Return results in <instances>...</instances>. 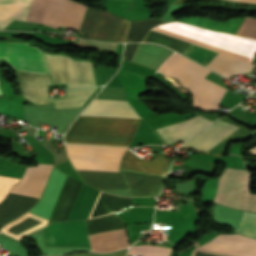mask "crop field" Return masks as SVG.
<instances>
[{
  "label": "crop field",
  "instance_id": "25",
  "mask_svg": "<svg viewBox=\"0 0 256 256\" xmlns=\"http://www.w3.org/2000/svg\"><path fill=\"white\" fill-rule=\"evenodd\" d=\"M236 34L256 38V19L245 18Z\"/></svg>",
  "mask_w": 256,
  "mask_h": 256
},
{
  "label": "crop field",
  "instance_id": "23",
  "mask_svg": "<svg viewBox=\"0 0 256 256\" xmlns=\"http://www.w3.org/2000/svg\"><path fill=\"white\" fill-rule=\"evenodd\" d=\"M238 232L256 238V214L244 212Z\"/></svg>",
  "mask_w": 256,
  "mask_h": 256
},
{
  "label": "crop field",
  "instance_id": "21",
  "mask_svg": "<svg viewBox=\"0 0 256 256\" xmlns=\"http://www.w3.org/2000/svg\"><path fill=\"white\" fill-rule=\"evenodd\" d=\"M144 40L159 42L180 52L188 42L150 30Z\"/></svg>",
  "mask_w": 256,
  "mask_h": 256
},
{
  "label": "crop field",
  "instance_id": "14",
  "mask_svg": "<svg viewBox=\"0 0 256 256\" xmlns=\"http://www.w3.org/2000/svg\"><path fill=\"white\" fill-rule=\"evenodd\" d=\"M65 177L66 175L58 171L54 166L40 201L29 212L48 219L55 206Z\"/></svg>",
  "mask_w": 256,
  "mask_h": 256
},
{
  "label": "crop field",
  "instance_id": "5",
  "mask_svg": "<svg viewBox=\"0 0 256 256\" xmlns=\"http://www.w3.org/2000/svg\"><path fill=\"white\" fill-rule=\"evenodd\" d=\"M85 8L74 0H33L27 21L78 29Z\"/></svg>",
  "mask_w": 256,
  "mask_h": 256
},
{
  "label": "crop field",
  "instance_id": "7",
  "mask_svg": "<svg viewBox=\"0 0 256 256\" xmlns=\"http://www.w3.org/2000/svg\"><path fill=\"white\" fill-rule=\"evenodd\" d=\"M83 181L98 189H128L118 173L76 170ZM131 189L132 196H154L161 178L122 173Z\"/></svg>",
  "mask_w": 256,
  "mask_h": 256
},
{
  "label": "crop field",
  "instance_id": "11",
  "mask_svg": "<svg viewBox=\"0 0 256 256\" xmlns=\"http://www.w3.org/2000/svg\"><path fill=\"white\" fill-rule=\"evenodd\" d=\"M53 165L38 164L27 168L18 184L11 193L39 198Z\"/></svg>",
  "mask_w": 256,
  "mask_h": 256
},
{
  "label": "crop field",
  "instance_id": "28",
  "mask_svg": "<svg viewBox=\"0 0 256 256\" xmlns=\"http://www.w3.org/2000/svg\"><path fill=\"white\" fill-rule=\"evenodd\" d=\"M187 1H190V0H176V1L173 2V3H183V2H187Z\"/></svg>",
  "mask_w": 256,
  "mask_h": 256
},
{
  "label": "crop field",
  "instance_id": "29",
  "mask_svg": "<svg viewBox=\"0 0 256 256\" xmlns=\"http://www.w3.org/2000/svg\"><path fill=\"white\" fill-rule=\"evenodd\" d=\"M126 253L123 254H117V255H112V256H125Z\"/></svg>",
  "mask_w": 256,
  "mask_h": 256
},
{
  "label": "crop field",
  "instance_id": "12",
  "mask_svg": "<svg viewBox=\"0 0 256 256\" xmlns=\"http://www.w3.org/2000/svg\"><path fill=\"white\" fill-rule=\"evenodd\" d=\"M236 129L238 127L219 120L195 135L184 145L206 152Z\"/></svg>",
  "mask_w": 256,
  "mask_h": 256
},
{
  "label": "crop field",
  "instance_id": "18",
  "mask_svg": "<svg viewBox=\"0 0 256 256\" xmlns=\"http://www.w3.org/2000/svg\"><path fill=\"white\" fill-rule=\"evenodd\" d=\"M206 67L229 78L235 74L251 71L253 64L219 53Z\"/></svg>",
  "mask_w": 256,
  "mask_h": 256
},
{
  "label": "crop field",
  "instance_id": "4",
  "mask_svg": "<svg viewBox=\"0 0 256 256\" xmlns=\"http://www.w3.org/2000/svg\"><path fill=\"white\" fill-rule=\"evenodd\" d=\"M159 69L192 86V107L218 110V103L226 89L203 78L211 71L176 53Z\"/></svg>",
  "mask_w": 256,
  "mask_h": 256
},
{
  "label": "crop field",
  "instance_id": "13",
  "mask_svg": "<svg viewBox=\"0 0 256 256\" xmlns=\"http://www.w3.org/2000/svg\"><path fill=\"white\" fill-rule=\"evenodd\" d=\"M209 123H211V121L196 116L186 121L157 128L156 130L162 139L169 144L179 139L187 140Z\"/></svg>",
  "mask_w": 256,
  "mask_h": 256
},
{
  "label": "crop field",
  "instance_id": "22",
  "mask_svg": "<svg viewBox=\"0 0 256 256\" xmlns=\"http://www.w3.org/2000/svg\"><path fill=\"white\" fill-rule=\"evenodd\" d=\"M171 248H165L161 246L153 245H137L129 249L130 255L141 256H169Z\"/></svg>",
  "mask_w": 256,
  "mask_h": 256
},
{
  "label": "crop field",
  "instance_id": "1",
  "mask_svg": "<svg viewBox=\"0 0 256 256\" xmlns=\"http://www.w3.org/2000/svg\"><path fill=\"white\" fill-rule=\"evenodd\" d=\"M50 73L17 72L21 95L36 103H54V109L81 107L97 88L66 91V97L48 98L49 84L67 83L68 88L95 85L92 62L75 60L66 55L43 52Z\"/></svg>",
  "mask_w": 256,
  "mask_h": 256
},
{
  "label": "crop field",
  "instance_id": "24",
  "mask_svg": "<svg viewBox=\"0 0 256 256\" xmlns=\"http://www.w3.org/2000/svg\"><path fill=\"white\" fill-rule=\"evenodd\" d=\"M72 44L80 46V47H84V48L100 50L104 53H113V51L117 45V44H107V43L86 41V40H82V39H79Z\"/></svg>",
  "mask_w": 256,
  "mask_h": 256
},
{
  "label": "crop field",
  "instance_id": "16",
  "mask_svg": "<svg viewBox=\"0 0 256 256\" xmlns=\"http://www.w3.org/2000/svg\"><path fill=\"white\" fill-rule=\"evenodd\" d=\"M120 77L126 91V97L136 112L142 118L152 115L153 113L142 105L136 98V96L142 91L144 77L122 70H120Z\"/></svg>",
  "mask_w": 256,
  "mask_h": 256
},
{
  "label": "crop field",
  "instance_id": "27",
  "mask_svg": "<svg viewBox=\"0 0 256 256\" xmlns=\"http://www.w3.org/2000/svg\"><path fill=\"white\" fill-rule=\"evenodd\" d=\"M237 1H242V2H247V3H254V4H256V0H237Z\"/></svg>",
  "mask_w": 256,
  "mask_h": 256
},
{
  "label": "crop field",
  "instance_id": "3",
  "mask_svg": "<svg viewBox=\"0 0 256 256\" xmlns=\"http://www.w3.org/2000/svg\"><path fill=\"white\" fill-rule=\"evenodd\" d=\"M139 123L131 119L79 116L65 142L129 146Z\"/></svg>",
  "mask_w": 256,
  "mask_h": 256
},
{
  "label": "crop field",
  "instance_id": "15",
  "mask_svg": "<svg viewBox=\"0 0 256 256\" xmlns=\"http://www.w3.org/2000/svg\"><path fill=\"white\" fill-rule=\"evenodd\" d=\"M88 106L133 109L128 101L94 99ZM81 115L140 119L134 110L87 107Z\"/></svg>",
  "mask_w": 256,
  "mask_h": 256
},
{
  "label": "crop field",
  "instance_id": "20",
  "mask_svg": "<svg viewBox=\"0 0 256 256\" xmlns=\"http://www.w3.org/2000/svg\"><path fill=\"white\" fill-rule=\"evenodd\" d=\"M181 53L205 66L218 54V52L211 51L192 43H190Z\"/></svg>",
  "mask_w": 256,
  "mask_h": 256
},
{
  "label": "crop field",
  "instance_id": "6",
  "mask_svg": "<svg viewBox=\"0 0 256 256\" xmlns=\"http://www.w3.org/2000/svg\"><path fill=\"white\" fill-rule=\"evenodd\" d=\"M249 176L248 170L227 168L219 178L214 202L256 212V195H248Z\"/></svg>",
  "mask_w": 256,
  "mask_h": 256
},
{
  "label": "crop field",
  "instance_id": "8",
  "mask_svg": "<svg viewBox=\"0 0 256 256\" xmlns=\"http://www.w3.org/2000/svg\"><path fill=\"white\" fill-rule=\"evenodd\" d=\"M5 57L16 70L37 73L49 72L38 48L27 43H0V58Z\"/></svg>",
  "mask_w": 256,
  "mask_h": 256
},
{
  "label": "crop field",
  "instance_id": "10",
  "mask_svg": "<svg viewBox=\"0 0 256 256\" xmlns=\"http://www.w3.org/2000/svg\"><path fill=\"white\" fill-rule=\"evenodd\" d=\"M215 236L256 242V240L254 239L240 236L237 233H234L231 235L217 234ZM216 237H212L208 239L207 241L200 244L196 248L256 256V243L254 242L216 238Z\"/></svg>",
  "mask_w": 256,
  "mask_h": 256
},
{
  "label": "crop field",
  "instance_id": "17",
  "mask_svg": "<svg viewBox=\"0 0 256 256\" xmlns=\"http://www.w3.org/2000/svg\"><path fill=\"white\" fill-rule=\"evenodd\" d=\"M32 0H0V29L13 19L27 20Z\"/></svg>",
  "mask_w": 256,
  "mask_h": 256
},
{
  "label": "crop field",
  "instance_id": "9",
  "mask_svg": "<svg viewBox=\"0 0 256 256\" xmlns=\"http://www.w3.org/2000/svg\"><path fill=\"white\" fill-rule=\"evenodd\" d=\"M60 224L66 246H89L84 221ZM60 224L53 223L43 228L46 245L65 246Z\"/></svg>",
  "mask_w": 256,
  "mask_h": 256
},
{
  "label": "crop field",
  "instance_id": "2",
  "mask_svg": "<svg viewBox=\"0 0 256 256\" xmlns=\"http://www.w3.org/2000/svg\"><path fill=\"white\" fill-rule=\"evenodd\" d=\"M75 169L117 172L126 148L65 144ZM141 159V158H140ZM126 150L119 169L164 175L170 160L161 154L151 161L140 160Z\"/></svg>",
  "mask_w": 256,
  "mask_h": 256
},
{
  "label": "crop field",
  "instance_id": "19",
  "mask_svg": "<svg viewBox=\"0 0 256 256\" xmlns=\"http://www.w3.org/2000/svg\"><path fill=\"white\" fill-rule=\"evenodd\" d=\"M130 27L127 35L126 42L142 41L146 33L154 26L164 23L159 19H147L144 21L129 20Z\"/></svg>",
  "mask_w": 256,
  "mask_h": 256
},
{
  "label": "crop field",
  "instance_id": "26",
  "mask_svg": "<svg viewBox=\"0 0 256 256\" xmlns=\"http://www.w3.org/2000/svg\"><path fill=\"white\" fill-rule=\"evenodd\" d=\"M138 44H126L125 45V50H124V57L123 59L125 60H131L133 54H134V51L136 49Z\"/></svg>",
  "mask_w": 256,
  "mask_h": 256
},
{
  "label": "crop field",
  "instance_id": "30",
  "mask_svg": "<svg viewBox=\"0 0 256 256\" xmlns=\"http://www.w3.org/2000/svg\"><path fill=\"white\" fill-rule=\"evenodd\" d=\"M0 96H2V95H1V91H0Z\"/></svg>",
  "mask_w": 256,
  "mask_h": 256
}]
</instances>
